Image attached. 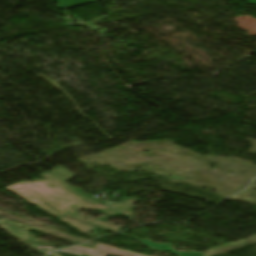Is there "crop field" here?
Masks as SVG:
<instances>
[{"label":"crop field","mask_w":256,"mask_h":256,"mask_svg":"<svg viewBox=\"0 0 256 256\" xmlns=\"http://www.w3.org/2000/svg\"><path fill=\"white\" fill-rule=\"evenodd\" d=\"M124 203H114L112 205H109L113 207L114 209L118 210L119 212L127 215L128 217L131 218L133 212H132V203L138 202V200H131V199H125L123 198Z\"/></svg>","instance_id":"5"},{"label":"crop field","mask_w":256,"mask_h":256,"mask_svg":"<svg viewBox=\"0 0 256 256\" xmlns=\"http://www.w3.org/2000/svg\"><path fill=\"white\" fill-rule=\"evenodd\" d=\"M40 176L44 177V179L35 182L22 181L12 184L4 189L37 205L42 210L56 217L66 215L114 232L121 229L119 226L90 217H87L89 218L88 220L82 219L78 215L76 211L77 209H99L111 216L118 212L106 206L99 205L98 203L100 202L96 199L73 188L47 172L41 173ZM65 199H68L69 202H65Z\"/></svg>","instance_id":"1"},{"label":"crop field","mask_w":256,"mask_h":256,"mask_svg":"<svg viewBox=\"0 0 256 256\" xmlns=\"http://www.w3.org/2000/svg\"><path fill=\"white\" fill-rule=\"evenodd\" d=\"M95 247L96 249L92 250V249L76 246L73 248L64 249L60 251H65V252H69L77 255L84 254V255H90V256H107L108 254L116 255V256H146V255H141V254H137L130 251L118 250L116 248L102 245L99 243H97Z\"/></svg>","instance_id":"2"},{"label":"crop field","mask_w":256,"mask_h":256,"mask_svg":"<svg viewBox=\"0 0 256 256\" xmlns=\"http://www.w3.org/2000/svg\"><path fill=\"white\" fill-rule=\"evenodd\" d=\"M59 219H61V220L65 221V222H67V223L70 224L71 226L75 227L76 229H78V230L81 231L82 233H84V234H86V235H88V236H90V237H92V238L96 237V236H94V235H91V234L87 233L89 230L95 228V227H93V226H91V225L82 223V222H80V221H77V220H75V219L68 218V217H65V216H64V217H59Z\"/></svg>","instance_id":"4"},{"label":"crop field","mask_w":256,"mask_h":256,"mask_svg":"<svg viewBox=\"0 0 256 256\" xmlns=\"http://www.w3.org/2000/svg\"><path fill=\"white\" fill-rule=\"evenodd\" d=\"M48 172L59 177L60 179H62L64 181L72 179L76 176L73 173H71L68 170L61 168V167H59L55 170H52V171H48Z\"/></svg>","instance_id":"6"},{"label":"crop field","mask_w":256,"mask_h":256,"mask_svg":"<svg viewBox=\"0 0 256 256\" xmlns=\"http://www.w3.org/2000/svg\"><path fill=\"white\" fill-rule=\"evenodd\" d=\"M138 240L147 244L151 248L169 250V251H172V252H174V253H176L180 256H203V254L198 253V252L186 253V252L175 251V250L172 249L171 245H169V244H158V243H155V242L149 241V240H141V239H138Z\"/></svg>","instance_id":"3"}]
</instances>
